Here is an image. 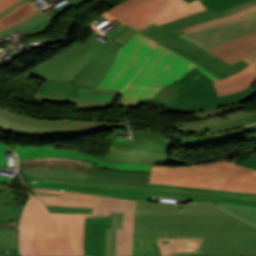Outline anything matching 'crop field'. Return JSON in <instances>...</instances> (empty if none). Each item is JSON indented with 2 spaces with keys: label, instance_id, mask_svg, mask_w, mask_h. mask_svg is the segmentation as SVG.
<instances>
[{
  "label": "crop field",
  "instance_id": "bd1437ed",
  "mask_svg": "<svg viewBox=\"0 0 256 256\" xmlns=\"http://www.w3.org/2000/svg\"><path fill=\"white\" fill-rule=\"evenodd\" d=\"M180 91L181 89L168 85L160 89L150 101L166 108Z\"/></svg>",
  "mask_w": 256,
  "mask_h": 256
},
{
  "label": "crop field",
  "instance_id": "92a150f3",
  "mask_svg": "<svg viewBox=\"0 0 256 256\" xmlns=\"http://www.w3.org/2000/svg\"><path fill=\"white\" fill-rule=\"evenodd\" d=\"M203 238H157L159 256L197 251Z\"/></svg>",
  "mask_w": 256,
  "mask_h": 256
},
{
  "label": "crop field",
  "instance_id": "412701ff",
  "mask_svg": "<svg viewBox=\"0 0 256 256\" xmlns=\"http://www.w3.org/2000/svg\"><path fill=\"white\" fill-rule=\"evenodd\" d=\"M139 34L175 51L223 79L247 66L242 59L256 50V32L205 51L177 35L153 24Z\"/></svg>",
  "mask_w": 256,
  "mask_h": 256
},
{
  "label": "crop field",
  "instance_id": "d32e631a",
  "mask_svg": "<svg viewBox=\"0 0 256 256\" xmlns=\"http://www.w3.org/2000/svg\"><path fill=\"white\" fill-rule=\"evenodd\" d=\"M22 208L23 206L0 205V223L1 221L11 222L14 220L17 221L16 226H18Z\"/></svg>",
  "mask_w": 256,
  "mask_h": 256
},
{
  "label": "crop field",
  "instance_id": "4a817a6b",
  "mask_svg": "<svg viewBox=\"0 0 256 256\" xmlns=\"http://www.w3.org/2000/svg\"><path fill=\"white\" fill-rule=\"evenodd\" d=\"M134 142L113 141L115 147L168 153L172 144L146 132L132 133Z\"/></svg>",
  "mask_w": 256,
  "mask_h": 256
},
{
  "label": "crop field",
  "instance_id": "00972430",
  "mask_svg": "<svg viewBox=\"0 0 256 256\" xmlns=\"http://www.w3.org/2000/svg\"><path fill=\"white\" fill-rule=\"evenodd\" d=\"M256 129V124L247 126L245 128H240L233 130L231 132L218 134V135H212V136H195V137H185V136H179V135H173L170 134L168 137L176 138L182 143L183 145H203L209 142H215L219 140H224L230 137H233L238 134L247 133L249 131H252Z\"/></svg>",
  "mask_w": 256,
  "mask_h": 256
},
{
  "label": "crop field",
  "instance_id": "733c2abd",
  "mask_svg": "<svg viewBox=\"0 0 256 256\" xmlns=\"http://www.w3.org/2000/svg\"><path fill=\"white\" fill-rule=\"evenodd\" d=\"M105 228H110V217L86 218L85 255L103 256Z\"/></svg>",
  "mask_w": 256,
  "mask_h": 256
},
{
  "label": "crop field",
  "instance_id": "5866460e",
  "mask_svg": "<svg viewBox=\"0 0 256 256\" xmlns=\"http://www.w3.org/2000/svg\"><path fill=\"white\" fill-rule=\"evenodd\" d=\"M175 210H184L182 208H178V205H169V204H161V203H144L138 202L136 203V211H175Z\"/></svg>",
  "mask_w": 256,
  "mask_h": 256
},
{
  "label": "crop field",
  "instance_id": "425ffa30",
  "mask_svg": "<svg viewBox=\"0 0 256 256\" xmlns=\"http://www.w3.org/2000/svg\"><path fill=\"white\" fill-rule=\"evenodd\" d=\"M19 0H0V12L11 6L12 4L16 3Z\"/></svg>",
  "mask_w": 256,
  "mask_h": 256
},
{
  "label": "crop field",
  "instance_id": "eef30255",
  "mask_svg": "<svg viewBox=\"0 0 256 256\" xmlns=\"http://www.w3.org/2000/svg\"><path fill=\"white\" fill-rule=\"evenodd\" d=\"M116 227H123V213L111 212V229L105 230V254L116 255Z\"/></svg>",
  "mask_w": 256,
  "mask_h": 256
},
{
  "label": "crop field",
  "instance_id": "5a996713",
  "mask_svg": "<svg viewBox=\"0 0 256 256\" xmlns=\"http://www.w3.org/2000/svg\"><path fill=\"white\" fill-rule=\"evenodd\" d=\"M204 9L199 0L190 4L184 0H126L107 14L141 29L153 22L159 25Z\"/></svg>",
  "mask_w": 256,
  "mask_h": 256
},
{
  "label": "crop field",
  "instance_id": "447ae74e",
  "mask_svg": "<svg viewBox=\"0 0 256 256\" xmlns=\"http://www.w3.org/2000/svg\"><path fill=\"white\" fill-rule=\"evenodd\" d=\"M250 157H256V153H253Z\"/></svg>",
  "mask_w": 256,
  "mask_h": 256
},
{
  "label": "crop field",
  "instance_id": "028f5c9d",
  "mask_svg": "<svg viewBox=\"0 0 256 256\" xmlns=\"http://www.w3.org/2000/svg\"><path fill=\"white\" fill-rule=\"evenodd\" d=\"M216 205H218V206L228 210L232 214H234L238 217H241V218L256 225V210L255 209H247V208L226 206V205H220V204H216Z\"/></svg>",
  "mask_w": 256,
  "mask_h": 256
},
{
  "label": "crop field",
  "instance_id": "25e5ab78",
  "mask_svg": "<svg viewBox=\"0 0 256 256\" xmlns=\"http://www.w3.org/2000/svg\"><path fill=\"white\" fill-rule=\"evenodd\" d=\"M244 61H246L250 65V67L256 64V51L248 56L246 59H244Z\"/></svg>",
  "mask_w": 256,
  "mask_h": 256
},
{
  "label": "crop field",
  "instance_id": "b54c1fbb",
  "mask_svg": "<svg viewBox=\"0 0 256 256\" xmlns=\"http://www.w3.org/2000/svg\"><path fill=\"white\" fill-rule=\"evenodd\" d=\"M51 19H48L47 21H45L42 25H40L39 27H37L36 29L26 33L27 35H30V34H35V33H39V32H42V31H45L47 30V28L50 26L51 24Z\"/></svg>",
  "mask_w": 256,
  "mask_h": 256
},
{
  "label": "crop field",
  "instance_id": "1d79db26",
  "mask_svg": "<svg viewBox=\"0 0 256 256\" xmlns=\"http://www.w3.org/2000/svg\"><path fill=\"white\" fill-rule=\"evenodd\" d=\"M6 252H9L8 250L6 251H0V256H6Z\"/></svg>",
  "mask_w": 256,
  "mask_h": 256
},
{
  "label": "crop field",
  "instance_id": "c035e120",
  "mask_svg": "<svg viewBox=\"0 0 256 256\" xmlns=\"http://www.w3.org/2000/svg\"><path fill=\"white\" fill-rule=\"evenodd\" d=\"M0 204L17 205V200L12 192H1Z\"/></svg>",
  "mask_w": 256,
  "mask_h": 256
},
{
  "label": "crop field",
  "instance_id": "e52e79f7",
  "mask_svg": "<svg viewBox=\"0 0 256 256\" xmlns=\"http://www.w3.org/2000/svg\"><path fill=\"white\" fill-rule=\"evenodd\" d=\"M194 66L210 79L218 80L202 67L157 44L149 60L121 93L119 104L137 107L149 101L161 87L174 83Z\"/></svg>",
  "mask_w": 256,
  "mask_h": 256
},
{
  "label": "crop field",
  "instance_id": "dafd665d",
  "mask_svg": "<svg viewBox=\"0 0 256 256\" xmlns=\"http://www.w3.org/2000/svg\"><path fill=\"white\" fill-rule=\"evenodd\" d=\"M134 213H124V228H117V256H131Z\"/></svg>",
  "mask_w": 256,
  "mask_h": 256
},
{
  "label": "crop field",
  "instance_id": "28ad6ade",
  "mask_svg": "<svg viewBox=\"0 0 256 256\" xmlns=\"http://www.w3.org/2000/svg\"><path fill=\"white\" fill-rule=\"evenodd\" d=\"M155 46L156 43L136 33L117 50L114 63L98 87L123 90Z\"/></svg>",
  "mask_w": 256,
  "mask_h": 256
},
{
  "label": "crop field",
  "instance_id": "d9b57169",
  "mask_svg": "<svg viewBox=\"0 0 256 256\" xmlns=\"http://www.w3.org/2000/svg\"><path fill=\"white\" fill-rule=\"evenodd\" d=\"M112 137L113 134L110 138L111 142ZM168 155L169 154L114 148L112 144L110 152L103 159L114 162H137L163 166L188 165L186 160L174 159L175 157L170 158L171 156L168 157Z\"/></svg>",
  "mask_w": 256,
  "mask_h": 256
},
{
  "label": "crop field",
  "instance_id": "1d83c4d3",
  "mask_svg": "<svg viewBox=\"0 0 256 256\" xmlns=\"http://www.w3.org/2000/svg\"><path fill=\"white\" fill-rule=\"evenodd\" d=\"M18 246V228L0 229V248Z\"/></svg>",
  "mask_w": 256,
  "mask_h": 256
},
{
  "label": "crop field",
  "instance_id": "0765c3eb",
  "mask_svg": "<svg viewBox=\"0 0 256 256\" xmlns=\"http://www.w3.org/2000/svg\"><path fill=\"white\" fill-rule=\"evenodd\" d=\"M186 1L190 3V2H192V1H194V0H186Z\"/></svg>",
  "mask_w": 256,
  "mask_h": 256
},
{
  "label": "crop field",
  "instance_id": "bc2a9ffb",
  "mask_svg": "<svg viewBox=\"0 0 256 256\" xmlns=\"http://www.w3.org/2000/svg\"><path fill=\"white\" fill-rule=\"evenodd\" d=\"M256 81V65L238 74L214 82L219 96L246 89Z\"/></svg>",
  "mask_w": 256,
  "mask_h": 256
},
{
  "label": "crop field",
  "instance_id": "750c4746",
  "mask_svg": "<svg viewBox=\"0 0 256 256\" xmlns=\"http://www.w3.org/2000/svg\"><path fill=\"white\" fill-rule=\"evenodd\" d=\"M121 91L106 89H90L80 87L78 99H93L114 101Z\"/></svg>",
  "mask_w": 256,
  "mask_h": 256
},
{
  "label": "crop field",
  "instance_id": "0fb4a251",
  "mask_svg": "<svg viewBox=\"0 0 256 256\" xmlns=\"http://www.w3.org/2000/svg\"><path fill=\"white\" fill-rule=\"evenodd\" d=\"M178 256H197V253H193V254H182V255H178Z\"/></svg>",
  "mask_w": 256,
  "mask_h": 256
},
{
  "label": "crop field",
  "instance_id": "120bbe31",
  "mask_svg": "<svg viewBox=\"0 0 256 256\" xmlns=\"http://www.w3.org/2000/svg\"><path fill=\"white\" fill-rule=\"evenodd\" d=\"M249 0H201V2L207 7L212 8L215 13L221 12L227 8L240 5Z\"/></svg>",
  "mask_w": 256,
  "mask_h": 256
},
{
  "label": "crop field",
  "instance_id": "4177f3b9",
  "mask_svg": "<svg viewBox=\"0 0 256 256\" xmlns=\"http://www.w3.org/2000/svg\"><path fill=\"white\" fill-rule=\"evenodd\" d=\"M132 256H158L156 238H151V234H133Z\"/></svg>",
  "mask_w": 256,
  "mask_h": 256
},
{
  "label": "crop field",
  "instance_id": "34b2d1b8",
  "mask_svg": "<svg viewBox=\"0 0 256 256\" xmlns=\"http://www.w3.org/2000/svg\"><path fill=\"white\" fill-rule=\"evenodd\" d=\"M90 215L47 213L32 197L21 221V254L84 255L85 217Z\"/></svg>",
  "mask_w": 256,
  "mask_h": 256
},
{
  "label": "crop field",
  "instance_id": "c21b1889",
  "mask_svg": "<svg viewBox=\"0 0 256 256\" xmlns=\"http://www.w3.org/2000/svg\"><path fill=\"white\" fill-rule=\"evenodd\" d=\"M5 150H6V146L0 144V166L1 167H6L5 156H4ZM12 182H13L12 179H8V178L0 176V183H5V184L11 185Z\"/></svg>",
  "mask_w": 256,
  "mask_h": 256
},
{
  "label": "crop field",
  "instance_id": "730fd06b",
  "mask_svg": "<svg viewBox=\"0 0 256 256\" xmlns=\"http://www.w3.org/2000/svg\"><path fill=\"white\" fill-rule=\"evenodd\" d=\"M36 11H38L31 3L28 1L22 4L21 6L17 7L10 13L6 14L2 18H0V30L4 29L6 27L12 26L32 14H34Z\"/></svg>",
  "mask_w": 256,
  "mask_h": 256
},
{
  "label": "crop field",
  "instance_id": "89e229c0",
  "mask_svg": "<svg viewBox=\"0 0 256 256\" xmlns=\"http://www.w3.org/2000/svg\"><path fill=\"white\" fill-rule=\"evenodd\" d=\"M27 0H20L19 2H17L16 4L12 5L11 7H9L8 9H6L5 11H3L2 13H0V17H2L3 15H5L6 13L10 12L11 10H13L14 8H16L17 6H19L20 4L24 3Z\"/></svg>",
  "mask_w": 256,
  "mask_h": 256
},
{
  "label": "crop field",
  "instance_id": "5142ce71",
  "mask_svg": "<svg viewBox=\"0 0 256 256\" xmlns=\"http://www.w3.org/2000/svg\"><path fill=\"white\" fill-rule=\"evenodd\" d=\"M256 122V111L248 112L242 109V113L233 116L214 117L194 122L176 123V132L205 133L233 128L246 123Z\"/></svg>",
  "mask_w": 256,
  "mask_h": 256
},
{
  "label": "crop field",
  "instance_id": "ae1a2a85",
  "mask_svg": "<svg viewBox=\"0 0 256 256\" xmlns=\"http://www.w3.org/2000/svg\"><path fill=\"white\" fill-rule=\"evenodd\" d=\"M79 86L46 81L37 93L77 98Z\"/></svg>",
  "mask_w": 256,
  "mask_h": 256
},
{
  "label": "crop field",
  "instance_id": "03da06ac",
  "mask_svg": "<svg viewBox=\"0 0 256 256\" xmlns=\"http://www.w3.org/2000/svg\"><path fill=\"white\" fill-rule=\"evenodd\" d=\"M252 136L256 141V132L253 133ZM239 166H245V167H249L251 169L256 170V158H248L243 163H241Z\"/></svg>",
  "mask_w": 256,
  "mask_h": 256
},
{
  "label": "crop field",
  "instance_id": "d3111659",
  "mask_svg": "<svg viewBox=\"0 0 256 256\" xmlns=\"http://www.w3.org/2000/svg\"><path fill=\"white\" fill-rule=\"evenodd\" d=\"M36 197L55 198V199H69V200H86L94 201L97 195L79 194L71 192H62L46 189L33 188Z\"/></svg>",
  "mask_w": 256,
  "mask_h": 256
},
{
  "label": "crop field",
  "instance_id": "1f2cbd36",
  "mask_svg": "<svg viewBox=\"0 0 256 256\" xmlns=\"http://www.w3.org/2000/svg\"><path fill=\"white\" fill-rule=\"evenodd\" d=\"M46 18H47V16L45 15L44 17H42L40 20H38L37 22H35V23H34L33 25H31L30 27H28V28H26V29H24V30H21V31H19V32H20V33H24V32H26V31L32 29L34 26L40 24V23H41L42 21H44Z\"/></svg>",
  "mask_w": 256,
  "mask_h": 256
},
{
  "label": "crop field",
  "instance_id": "d8731c3e",
  "mask_svg": "<svg viewBox=\"0 0 256 256\" xmlns=\"http://www.w3.org/2000/svg\"><path fill=\"white\" fill-rule=\"evenodd\" d=\"M72 158H37L19 161L21 175L148 185L150 174L99 169Z\"/></svg>",
  "mask_w": 256,
  "mask_h": 256
},
{
  "label": "crop field",
  "instance_id": "f4fd0767",
  "mask_svg": "<svg viewBox=\"0 0 256 256\" xmlns=\"http://www.w3.org/2000/svg\"><path fill=\"white\" fill-rule=\"evenodd\" d=\"M149 182L256 193V172L229 162L153 166Z\"/></svg>",
  "mask_w": 256,
  "mask_h": 256
},
{
  "label": "crop field",
  "instance_id": "dbb93151",
  "mask_svg": "<svg viewBox=\"0 0 256 256\" xmlns=\"http://www.w3.org/2000/svg\"><path fill=\"white\" fill-rule=\"evenodd\" d=\"M9 251H10V256H21L19 254L18 248L10 249Z\"/></svg>",
  "mask_w": 256,
  "mask_h": 256
},
{
  "label": "crop field",
  "instance_id": "73cf0c24",
  "mask_svg": "<svg viewBox=\"0 0 256 256\" xmlns=\"http://www.w3.org/2000/svg\"><path fill=\"white\" fill-rule=\"evenodd\" d=\"M59 1V0H58ZM69 2H71V0H68ZM57 2V1H56ZM68 2V3H69ZM55 3V2H54ZM68 3H66V4H64V5H62V6H60V7H58V8H52V9H50V10H48V11H46V12H44L45 14H47L48 16H51V15H53L54 13H56V12H58L59 10H61L63 7H65ZM53 4V3H52Z\"/></svg>",
  "mask_w": 256,
  "mask_h": 256
},
{
  "label": "crop field",
  "instance_id": "5d738f31",
  "mask_svg": "<svg viewBox=\"0 0 256 256\" xmlns=\"http://www.w3.org/2000/svg\"><path fill=\"white\" fill-rule=\"evenodd\" d=\"M198 256H256V254H223V253L203 254V253H198Z\"/></svg>",
  "mask_w": 256,
  "mask_h": 256
},
{
  "label": "crop field",
  "instance_id": "d1516ede",
  "mask_svg": "<svg viewBox=\"0 0 256 256\" xmlns=\"http://www.w3.org/2000/svg\"><path fill=\"white\" fill-rule=\"evenodd\" d=\"M256 11V0L246 2L240 6L227 9L221 13L215 14L212 9H206L188 17L159 25L177 35L217 26L246 14Z\"/></svg>",
  "mask_w": 256,
  "mask_h": 256
},
{
  "label": "crop field",
  "instance_id": "d23c7cc5",
  "mask_svg": "<svg viewBox=\"0 0 256 256\" xmlns=\"http://www.w3.org/2000/svg\"><path fill=\"white\" fill-rule=\"evenodd\" d=\"M86 1H88V0H78L76 2H73L70 5H68L66 8H64L62 11H60L59 13L55 14L54 16H52L50 18L54 19L55 17H57L59 14H61L65 10H67V9L73 7V6L76 8V7H78L79 5H81L82 3L86 2Z\"/></svg>",
  "mask_w": 256,
  "mask_h": 256
},
{
  "label": "crop field",
  "instance_id": "214f88e0",
  "mask_svg": "<svg viewBox=\"0 0 256 256\" xmlns=\"http://www.w3.org/2000/svg\"><path fill=\"white\" fill-rule=\"evenodd\" d=\"M135 200L113 198L98 195L91 217L110 216V211H135Z\"/></svg>",
  "mask_w": 256,
  "mask_h": 256
},
{
  "label": "crop field",
  "instance_id": "3316defc",
  "mask_svg": "<svg viewBox=\"0 0 256 256\" xmlns=\"http://www.w3.org/2000/svg\"><path fill=\"white\" fill-rule=\"evenodd\" d=\"M23 115L0 109V129L24 136H50L81 134L93 130L109 129L117 123H96V121H81L63 123L61 120L33 117L31 120Z\"/></svg>",
  "mask_w": 256,
  "mask_h": 256
},
{
  "label": "crop field",
  "instance_id": "22f410ed",
  "mask_svg": "<svg viewBox=\"0 0 256 256\" xmlns=\"http://www.w3.org/2000/svg\"><path fill=\"white\" fill-rule=\"evenodd\" d=\"M253 31H256V12L217 27L180 36L208 50Z\"/></svg>",
  "mask_w": 256,
  "mask_h": 256
},
{
  "label": "crop field",
  "instance_id": "b80d0937",
  "mask_svg": "<svg viewBox=\"0 0 256 256\" xmlns=\"http://www.w3.org/2000/svg\"><path fill=\"white\" fill-rule=\"evenodd\" d=\"M47 206V205H46ZM49 212L91 213L93 208L47 206Z\"/></svg>",
  "mask_w": 256,
  "mask_h": 256
},
{
  "label": "crop field",
  "instance_id": "8a807250",
  "mask_svg": "<svg viewBox=\"0 0 256 256\" xmlns=\"http://www.w3.org/2000/svg\"><path fill=\"white\" fill-rule=\"evenodd\" d=\"M134 233L205 237L198 251L256 253V227L209 203L172 213H135Z\"/></svg>",
  "mask_w": 256,
  "mask_h": 256
},
{
  "label": "crop field",
  "instance_id": "ac0d7876",
  "mask_svg": "<svg viewBox=\"0 0 256 256\" xmlns=\"http://www.w3.org/2000/svg\"><path fill=\"white\" fill-rule=\"evenodd\" d=\"M109 24L116 28L102 36L108 41L103 43L90 35L85 44L74 43L22 77L96 87L116 57L115 51L138 32L116 19Z\"/></svg>",
  "mask_w": 256,
  "mask_h": 256
},
{
  "label": "crop field",
  "instance_id": "0bd39190",
  "mask_svg": "<svg viewBox=\"0 0 256 256\" xmlns=\"http://www.w3.org/2000/svg\"><path fill=\"white\" fill-rule=\"evenodd\" d=\"M40 199L44 204H48V205L93 207V204H94V202H86V201L55 200V199H45V198H40Z\"/></svg>",
  "mask_w": 256,
  "mask_h": 256
},
{
  "label": "crop field",
  "instance_id": "dd49c442",
  "mask_svg": "<svg viewBox=\"0 0 256 256\" xmlns=\"http://www.w3.org/2000/svg\"><path fill=\"white\" fill-rule=\"evenodd\" d=\"M195 76L198 78L195 79ZM212 82L194 67L183 78L172 84L183 90L165 111L191 113L196 120H200L243 108L240 102L248 101L256 94V91L249 88L243 92L218 97Z\"/></svg>",
  "mask_w": 256,
  "mask_h": 256
},
{
  "label": "crop field",
  "instance_id": "9d1cf04e",
  "mask_svg": "<svg viewBox=\"0 0 256 256\" xmlns=\"http://www.w3.org/2000/svg\"><path fill=\"white\" fill-rule=\"evenodd\" d=\"M49 3H52V2H54V1H56V0H47Z\"/></svg>",
  "mask_w": 256,
  "mask_h": 256
},
{
  "label": "crop field",
  "instance_id": "e1f06a70",
  "mask_svg": "<svg viewBox=\"0 0 256 256\" xmlns=\"http://www.w3.org/2000/svg\"><path fill=\"white\" fill-rule=\"evenodd\" d=\"M42 16H44V14L38 11L34 15H32L31 17L26 19L25 21H23L17 25H14L12 27L1 30L0 37L26 28V27L30 26L32 23H34L35 21H37L38 19H40Z\"/></svg>",
  "mask_w": 256,
  "mask_h": 256
},
{
  "label": "crop field",
  "instance_id": "a9b5d70f",
  "mask_svg": "<svg viewBox=\"0 0 256 256\" xmlns=\"http://www.w3.org/2000/svg\"><path fill=\"white\" fill-rule=\"evenodd\" d=\"M34 100L55 103L77 104V110H91L110 107L113 102L93 101V100H77L73 98L56 97L49 95L36 94Z\"/></svg>",
  "mask_w": 256,
  "mask_h": 256
},
{
  "label": "crop field",
  "instance_id": "cbeb9de0",
  "mask_svg": "<svg viewBox=\"0 0 256 256\" xmlns=\"http://www.w3.org/2000/svg\"><path fill=\"white\" fill-rule=\"evenodd\" d=\"M16 150L19 160L36 158V157H73L79 158L86 161L95 162L96 167L114 169V170H125V171H137V172H151L152 166L137 164V163H114L100 160L96 157L86 155L79 151L73 150H57L53 147H12Z\"/></svg>",
  "mask_w": 256,
  "mask_h": 256
}]
</instances>
